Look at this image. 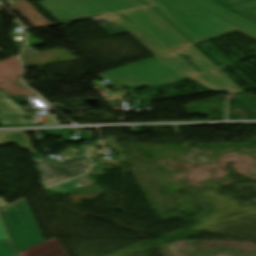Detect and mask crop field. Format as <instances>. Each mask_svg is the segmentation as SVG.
I'll return each instance as SVG.
<instances>
[{"instance_id":"5142ce71","label":"crop field","mask_w":256,"mask_h":256,"mask_svg":"<svg viewBox=\"0 0 256 256\" xmlns=\"http://www.w3.org/2000/svg\"><path fill=\"white\" fill-rule=\"evenodd\" d=\"M240 15H242L245 18H247V19L253 21L254 23H256V10L250 11V12H246V13H242Z\"/></svg>"},{"instance_id":"e52e79f7","label":"crop field","mask_w":256,"mask_h":256,"mask_svg":"<svg viewBox=\"0 0 256 256\" xmlns=\"http://www.w3.org/2000/svg\"><path fill=\"white\" fill-rule=\"evenodd\" d=\"M4 143L16 144L19 147L34 153L35 151L31 148L30 139L24 135L23 132L5 133L3 140H0V145Z\"/></svg>"},{"instance_id":"28ad6ade","label":"crop field","mask_w":256,"mask_h":256,"mask_svg":"<svg viewBox=\"0 0 256 256\" xmlns=\"http://www.w3.org/2000/svg\"><path fill=\"white\" fill-rule=\"evenodd\" d=\"M78 181H76L75 179L48 187V189H50L51 191H60V192H65L68 193L74 189L73 184L77 183Z\"/></svg>"},{"instance_id":"22f410ed","label":"crop field","mask_w":256,"mask_h":256,"mask_svg":"<svg viewBox=\"0 0 256 256\" xmlns=\"http://www.w3.org/2000/svg\"><path fill=\"white\" fill-rule=\"evenodd\" d=\"M91 148L92 147L89 146V145L80 147L79 149L82 151V153L80 151L76 150V149H73V148H68L67 151H70V152H73V153H81V154L86 155Z\"/></svg>"},{"instance_id":"f4fd0767","label":"crop field","mask_w":256,"mask_h":256,"mask_svg":"<svg viewBox=\"0 0 256 256\" xmlns=\"http://www.w3.org/2000/svg\"><path fill=\"white\" fill-rule=\"evenodd\" d=\"M19 253L20 256H68L57 238L36 244Z\"/></svg>"},{"instance_id":"8a807250","label":"crop field","mask_w":256,"mask_h":256,"mask_svg":"<svg viewBox=\"0 0 256 256\" xmlns=\"http://www.w3.org/2000/svg\"><path fill=\"white\" fill-rule=\"evenodd\" d=\"M58 23L101 16L110 36L129 33L155 58L104 72L129 89L158 87L191 78L212 92H243L171 24L139 0H42L36 2ZM45 11V12H46Z\"/></svg>"},{"instance_id":"cbeb9de0","label":"crop field","mask_w":256,"mask_h":256,"mask_svg":"<svg viewBox=\"0 0 256 256\" xmlns=\"http://www.w3.org/2000/svg\"><path fill=\"white\" fill-rule=\"evenodd\" d=\"M44 117H46L47 123H42V125H60V123L55 120V116L46 115Z\"/></svg>"},{"instance_id":"d9b57169","label":"crop field","mask_w":256,"mask_h":256,"mask_svg":"<svg viewBox=\"0 0 256 256\" xmlns=\"http://www.w3.org/2000/svg\"><path fill=\"white\" fill-rule=\"evenodd\" d=\"M6 205H8L4 200H2L1 198H0V208H2V207H4V206H6Z\"/></svg>"},{"instance_id":"5a996713","label":"crop field","mask_w":256,"mask_h":256,"mask_svg":"<svg viewBox=\"0 0 256 256\" xmlns=\"http://www.w3.org/2000/svg\"><path fill=\"white\" fill-rule=\"evenodd\" d=\"M26 120V116L5 115L0 114V122L2 125H22ZM28 126L37 125L38 122H25Z\"/></svg>"},{"instance_id":"d8731c3e","label":"crop field","mask_w":256,"mask_h":256,"mask_svg":"<svg viewBox=\"0 0 256 256\" xmlns=\"http://www.w3.org/2000/svg\"><path fill=\"white\" fill-rule=\"evenodd\" d=\"M228 9L238 13L256 8V0H214Z\"/></svg>"},{"instance_id":"34b2d1b8","label":"crop field","mask_w":256,"mask_h":256,"mask_svg":"<svg viewBox=\"0 0 256 256\" xmlns=\"http://www.w3.org/2000/svg\"><path fill=\"white\" fill-rule=\"evenodd\" d=\"M1 214L18 251L44 241L25 200L6 207Z\"/></svg>"},{"instance_id":"733c2abd","label":"crop field","mask_w":256,"mask_h":256,"mask_svg":"<svg viewBox=\"0 0 256 256\" xmlns=\"http://www.w3.org/2000/svg\"><path fill=\"white\" fill-rule=\"evenodd\" d=\"M1 135H2V133H0V138H1Z\"/></svg>"},{"instance_id":"4a817a6b","label":"crop field","mask_w":256,"mask_h":256,"mask_svg":"<svg viewBox=\"0 0 256 256\" xmlns=\"http://www.w3.org/2000/svg\"><path fill=\"white\" fill-rule=\"evenodd\" d=\"M1 1V0H0Z\"/></svg>"},{"instance_id":"412701ff","label":"crop field","mask_w":256,"mask_h":256,"mask_svg":"<svg viewBox=\"0 0 256 256\" xmlns=\"http://www.w3.org/2000/svg\"><path fill=\"white\" fill-rule=\"evenodd\" d=\"M32 159L31 161L37 164L34 168L41 173L38 177L40 178V185L42 187L76 175L84 174L80 169L90 165V162L85 157L61 162L59 164L51 162L43 156Z\"/></svg>"},{"instance_id":"d1516ede","label":"crop field","mask_w":256,"mask_h":256,"mask_svg":"<svg viewBox=\"0 0 256 256\" xmlns=\"http://www.w3.org/2000/svg\"><path fill=\"white\" fill-rule=\"evenodd\" d=\"M76 180H78L80 182V183L75 184L76 190L86 187L89 183H91V181L86 176L76 178Z\"/></svg>"},{"instance_id":"dd49c442","label":"crop field","mask_w":256,"mask_h":256,"mask_svg":"<svg viewBox=\"0 0 256 256\" xmlns=\"http://www.w3.org/2000/svg\"><path fill=\"white\" fill-rule=\"evenodd\" d=\"M0 256H18L0 215Z\"/></svg>"},{"instance_id":"3316defc","label":"crop field","mask_w":256,"mask_h":256,"mask_svg":"<svg viewBox=\"0 0 256 256\" xmlns=\"http://www.w3.org/2000/svg\"><path fill=\"white\" fill-rule=\"evenodd\" d=\"M0 111L8 113H22L18 105L0 92Z\"/></svg>"},{"instance_id":"ac0d7876","label":"crop field","mask_w":256,"mask_h":256,"mask_svg":"<svg viewBox=\"0 0 256 256\" xmlns=\"http://www.w3.org/2000/svg\"><path fill=\"white\" fill-rule=\"evenodd\" d=\"M194 44L238 31L256 40V25L210 0H142Z\"/></svg>"}]
</instances>
